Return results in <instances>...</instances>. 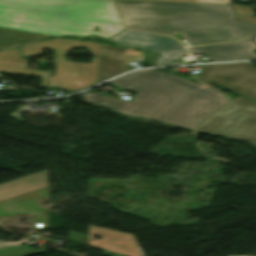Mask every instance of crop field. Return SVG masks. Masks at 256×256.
Returning a JSON list of instances; mask_svg holds the SVG:
<instances>
[{
  "label": "crop field",
  "mask_w": 256,
  "mask_h": 256,
  "mask_svg": "<svg viewBox=\"0 0 256 256\" xmlns=\"http://www.w3.org/2000/svg\"><path fill=\"white\" fill-rule=\"evenodd\" d=\"M128 28L182 36L193 45L230 41L256 34V26L236 20L229 5L115 0ZM237 32L238 34H235ZM196 40V41H193ZM252 39L189 48L212 61L256 58Z\"/></svg>",
  "instance_id": "crop-field-1"
},
{
  "label": "crop field",
  "mask_w": 256,
  "mask_h": 256,
  "mask_svg": "<svg viewBox=\"0 0 256 256\" xmlns=\"http://www.w3.org/2000/svg\"><path fill=\"white\" fill-rule=\"evenodd\" d=\"M110 83L137 91L138 95L127 102L87 92L83 94L82 101L190 129L228 102L217 90L168 72L142 70Z\"/></svg>",
  "instance_id": "crop-field-2"
},
{
  "label": "crop field",
  "mask_w": 256,
  "mask_h": 256,
  "mask_svg": "<svg viewBox=\"0 0 256 256\" xmlns=\"http://www.w3.org/2000/svg\"><path fill=\"white\" fill-rule=\"evenodd\" d=\"M99 26V32L93 31ZM0 27L109 38L124 29L111 0H0Z\"/></svg>",
  "instance_id": "crop-field-3"
},
{
  "label": "crop field",
  "mask_w": 256,
  "mask_h": 256,
  "mask_svg": "<svg viewBox=\"0 0 256 256\" xmlns=\"http://www.w3.org/2000/svg\"><path fill=\"white\" fill-rule=\"evenodd\" d=\"M78 46H86L96 57L91 63H78L65 59L66 52ZM20 47V46H19ZM25 57L41 55L43 48L54 50L56 63L54 77L49 86L76 91L96 83L101 44L76 39L53 38L39 43L20 47Z\"/></svg>",
  "instance_id": "crop-field-4"
},
{
  "label": "crop field",
  "mask_w": 256,
  "mask_h": 256,
  "mask_svg": "<svg viewBox=\"0 0 256 256\" xmlns=\"http://www.w3.org/2000/svg\"><path fill=\"white\" fill-rule=\"evenodd\" d=\"M196 130L256 145V103L239 96Z\"/></svg>",
  "instance_id": "crop-field-5"
},
{
  "label": "crop field",
  "mask_w": 256,
  "mask_h": 256,
  "mask_svg": "<svg viewBox=\"0 0 256 256\" xmlns=\"http://www.w3.org/2000/svg\"><path fill=\"white\" fill-rule=\"evenodd\" d=\"M224 77L233 78L234 81H223ZM196 78L220 84L256 100V68L248 62L203 66Z\"/></svg>",
  "instance_id": "crop-field-6"
},
{
  "label": "crop field",
  "mask_w": 256,
  "mask_h": 256,
  "mask_svg": "<svg viewBox=\"0 0 256 256\" xmlns=\"http://www.w3.org/2000/svg\"><path fill=\"white\" fill-rule=\"evenodd\" d=\"M126 30V29H125ZM117 45L160 52L155 64H168L187 53L173 38L126 30L112 38Z\"/></svg>",
  "instance_id": "crop-field-7"
},
{
  "label": "crop field",
  "mask_w": 256,
  "mask_h": 256,
  "mask_svg": "<svg viewBox=\"0 0 256 256\" xmlns=\"http://www.w3.org/2000/svg\"><path fill=\"white\" fill-rule=\"evenodd\" d=\"M97 235L101 240L91 242V237ZM89 245L128 256H143L133 235L110 229L89 226Z\"/></svg>",
  "instance_id": "crop-field-8"
},
{
  "label": "crop field",
  "mask_w": 256,
  "mask_h": 256,
  "mask_svg": "<svg viewBox=\"0 0 256 256\" xmlns=\"http://www.w3.org/2000/svg\"><path fill=\"white\" fill-rule=\"evenodd\" d=\"M124 55L123 48L102 45L97 82L121 73Z\"/></svg>",
  "instance_id": "crop-field-9"
},
{
  "label": "crop field",
  "mask_w": 256,
  "mask_h": 256,
  "mask_svg": "<svg viewBox=\"0 0 256 256\" xmlns=\"http://www.w3.org/2000/svg\"><path fill=\"white\" fill-rule=\"evenodd\" d=\"M46 185L47 171L0 185V201Z\"/></svg>",
  "instance_id": "crop-field-10"
},
{
  "label": "crop field",
  "mask_w": 256,
  "mask_h": 256,
  "mask_svg": "<svg viewBox=\"0 0 256 256\" xmlns=\"http://www.w3.org/2000/svg\"><path fill=\"white\" fill-rule=\"evenodd\" d=\"M0 72L48 76L49 71L41 72L27 68V59L20 56L18 48L0 52Z\"/></svg>",
  "instance_id": "crop-field-11"
},
{
  "label": "crop field",
  "mask_w": 256,
  "mask_h": 256,
  "mask_svg": "<svg viewBox=\"0 0 256 256\" xmlns=\"http://www.w3.org/2000/svg\"><path fill=\"white\" fill-rule=\"evenodd\" d=\"M49 37H53V36L0 28V50L9 48L15 45H25V44L35 43L40 39L49 38Z\"/></svg>",
  "instance_id": "crop-field-12"
},
{
  "label": "crop field",
  "mask_w": 256,
  "mask_h": 256,
  "mask_svg": "<svg viewBox=\"0 0 256 256\" xmlns=\"http://www.w3.org/2000/svg\"><path fill=\"white\" fill-rule=\"evenodd\" d=\"M35 253H40V251H38L28 245L0 250V256H26V255H31V254H35Z\"/></svg>",
  "instance_id": "crop-field-13"
},
{
  "label": "crop field",
  "mask_w": 256,
  "mask_h": 256,
  "mask_svg": "<svg viewBox=\"0 0 256 256\" xmlns=\"http://www.w3.org/2000/svg\"><path fill=\"white\" fill-rule=\"evenodd\" d=\"M66 240H67V241H71V242H75V243H79V244L86 245V243H87V241H88V235L70 231L69 237H68ZM81 240H85L86 242L81 241Z\"/></svg>",
  "instance_id": "crop-field-14"
},
{
  "label": "crop field",
  "mask_w": 256,
  "mask_h": 256,
  "mask_svg": "<svg viewBox=\"0 0 256 256\" xmlns=\"http://www.w3.org/2000/svg\"><path fill=\"white\" fill-rule=\"evenodd\" d=\"M157 1L207 2V3H221V4L230 3V0H157Z\"/></svg>",
  "instance_id": "crop-field-15"
},
{
  "label": "crop field",
  "mask_w": 256,
  "mask_h": 256,
  "mask_svg": "<svg viewBox=\"0 0 256 256\" xmlns=\"http://www.w3.org/2000/svg\"><path fill=\"white\" fill-rule=\"evenodd\" d=\"M21 245L20 242H0V249L6 248V247H12V246H18Z\"/></svg>",
  "instance_id": "crop-field-16"
},
{
  "label": "crop field",
  "mask_w": 256,
  "mask_h": 256,
  "mask_svg": "<svg viewBox=\"0 0 256 256\" xmlns=\"http://www.w3.org/2000/svg\"><path fill=\"white\" fill-rule=\"evenodd\" d=\"M47 77H41L40 87H46Z\"/></svg>",
  "instance_id": "crop-field-17"
}]
</instances>
